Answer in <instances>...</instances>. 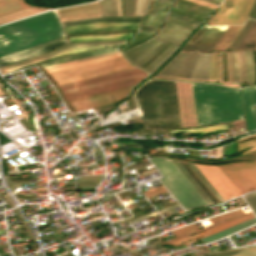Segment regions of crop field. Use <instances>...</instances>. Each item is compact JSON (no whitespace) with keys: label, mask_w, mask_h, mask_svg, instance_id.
Wrapping results in <instances>:
<instances>
[{"label":"crop field","mask_w":256,"mask_h":256,"mask_svg":"<svg viewBox=\"0 0 256 256\" xmlns=\"http://www.w3.org/2000/svg\"><path fill=\"white\" fill-rule=\"evenodd\" d=\"M176 1L181 2V3H184V4H187V5H190V6H193V7H196V8H199V9H202V10H205V11L210 12V13H212V11H213V10H211V9H209V8L203 7V6H201V5H198V4L189 2V1H185V0H176ZM181 3H177V2H176L175 6H176V7H179V8H182V9H186V10L195 12V13H198V14H201V15L206 16V17H208V16L210 15V13H207V12H205V11H202V10H199V9H196V8H193V7H190V6L181 4ZM169 8L175 9V8H173V7H169ZM177 9H178V8H177ZM177 9H175V10H177ZM175 10H170V9H168V11L171 12V13L178 14V15H182V16H186V17H189V18H191V19L198 20V21H200V22H203V20H205L204 18H206V17L201 18V19H203V20H201V19H198V18H200V17H203V16H201V15H198V14H195V13H192V12L187 11V12L193 14V15L200 16V17L196 18V17H192L193 15H192V16H188V15H191V14H189V13H187V12H184L185 10H184V11H180V10H181V9H180V10H177V11H180V12H182V13H184V14H188V15H184V14H182V13H180V12L175 11ZM169 12H168V13H169ZM171 13H169V14H171ZM174 14H172V15H174ZM172 15H170V16H172ZM178 15H175V16L180 17V18H184V19H187V20H190V21H193V22H195V23L200 24V23L197 22V21L191 20V19L186 18V17L178 16ZM170 16L167 15L165 20H167V21H169V22H172V23H175V24H177V25H180V26H182V27H184V28H187V29H189V30H191V31H193V30L196 28V26H198V24H195V23H193V22H190V21L183 20V19H180V18L175 17V18H177V19H179V20H181V21H185V22L191 23V24L196 25V26L190 25V24L185 23V22H181V21H179V20H177V19L172 18V17H174V16H172V17H170Z\"/></svg>","instance_id":"10"},{"label":"crop field","mask_w":256,"mask_h":256,"mask_svg":"<svg viewBox=\"0 0 256 256\" xmlns=\"http://www.w3.org/2000/svg\"><path fill=\"white\" fill-rule=\"evenodd\" d=\"M205 1H208V2H211V3H214V4H219L220 3V1H222V0H220V1H217V0H212V1H216V2H219V3H215V2H212V1H209V0H205Z\"/></svg>","instance_id":"60"},{"label":"crop field","mask_w":256,"mask_h":256,"mask_svg":"<svg viewBox=\"0 0 256 256\" xmlns=\"http://www.w3.org/2000/svg\"><path fill=\"white\" fill-rule=\"evenodd\" d=\"M206 57H207V54L200 55L190 78L204 79L205 68H206ZM210 59H211V54H209L208 60H207V68H206V75H205V79L207 80L209 77Z\"/></svg>","instance_id":"27"},{"label":"crop field","mask_w":256,"mask_h":256,"mask_svg":"<svg viewBox=\"0 0 256 256\" xmlns=\"http://www.w3.org/2000/svg\"><path fill=\"white\" fill-rule=\"evenodd\" d=\"M139 23H98L64 28L66 33L97 30L136 29Z\"/></svg>","instance_id":"18"},{"label":"crop field","mask_w":256,"mask_h":256,"mask_svg":"<svg viewBox=\"0 0 256 256\" xmlns=\"http://www.w3.org/2000/svg\"><path fill=\"white\" fill-rule=\"evenodd\" d=\"M150 161L164 176L160 178L162 183L184 209L208 205L170 159L151 158Z\"/></svg>","instance_id":"4"},{"label":"crop field","mask_w":256,"mask_h":256,"mask_svg":"<svg viewBox=\"0 0 256 256\" xmlns=\"http://www.w3.org/2000/svg\"><path fill=\"white\" fill-rule=\"evenodd\" d=\"M254 23L253 20H248L246 25L243 27V29L240 31V33L237 35V37L234 39V41L229 46V49H236V47L239 45L241 40L244 38V36L247 34L249 29L251 28L252 24Z\"/></svg>","instance_id":"37"},{"label":"crop field","mask_w":256,"mask_h":256,"mask_svg":"<svg viewBox=\"0 0 256 256\" xmlns=\"http://www.w3.org/2000/svg\"><path fill=\"white\" fill-rule=\"evenodd\" d=\"M171 1H173V0H171Z\"/></svg>","instance_id":"62"},{"label":"crop field","mask_w":256,"mask_h":256,"mask_svg":"<svg viewBox=\"0 0 256 256\" xmlns=\"http://www.w3.org/2000/svg\"><path fill=\"white\" fill-rule=\"evenodd\" d=\"M153 4L154 5H159V6H166V5H173V2L154 1ZM150 10H166V7L151 6Z\"/></svg>","instance_id":"51"},{"label":"crop field","mask_w":256,"mask_h":256,"mask_svg":"<svg viewBox=\"0 0 256 256\" xmlns=\"http://www.w3.org/2000/svg\"><path fill=\"white\" fill-rule=\"evenodd\" d=\"M250 90L253 105L256 106V87H251L242 91L248 131L256 129L251 106Z\"/></svg>","instance_id":"21"},{"label":"crop field","mask_w":256,"mask_h":256,"mask_svg":"<svg viewBox=\"0 0 256 256\" xmlns=\"http://www.w3.org/2000/svg\"><path fill=\"white\" fill-rule=\"evenodd\" d=\"M254 112H255V117H256V108H254Z\"/></svg>","instance_id":"61"},{"label":"crop field","mask_w":256,"mask_h":256,"mask_svg":"<svg viewBox=\"0 0 256 256\" xmlns=\"http://www.w3.org/2000/svg\"><path fill=\"white\" fill-rule=\"evenodd\" d=\"M145 77L67 94L66 97H67L68 101H70V100H75V99H79V98H83V97H87V96H92V95H96V94H100V93H104V92H108V91H112V90H117V89L129 87V86H133V85H136L141 79H143Z\"/></svg>","instance_id":"16"},{"label":"crop field","mask_w":256,"mask_h":256,"mask_svg":"<svg viewBox=\"0 0 256 256\" xmlns=\"http://www.w3.org/2000/svg\"><path fill=\"white\" fill-rule=\"evenodd\" d=\"M165 13H166V12L161 11V21H160V24H159V20H160V11H158V18H157V22H156V26H155V27H157L158 24H159L158 27L161 26V24H162V19H163ZM153 15H157V11H154V12H153ZM156 17H157V16H152V14H148L147 18L145 19V21L143 22L142 25L154 27L155 21H156Z\"/></svg>","instance_id":"38"},{"label":"crop field","mask_w":256,"mask_h":256,"mask_svg":"<svg viewBox=\"0 0 256 256\" xmlns=\"http://www.w3.org/2000/svg\"><path fill=\"white\" fill-rule=\"evenodd\" d=\"M152 78H157V79H176V80L193 81V80H186V79H179V78L160 77V76H153ZM211 82H213V81H211Z\"/></svg>","instance_id":"56"},{"label":"crop field","mask_w":256,"mask_h":256,"mask_svg":"<svg viewBox=\"0 0 256 256\" xmlns=\"http://www.w3.org/2000/svg\"><path fill=\"white\" fill-rule=\"evenodd\" d=\"M219 129H228L227 125H215L211 127H203V128H194V129H182V130H174L170 132H192V133H203V132H213Z\"/></svg>","instance_id":"35"},{"label":"crop field","mask_w":256,"mask_h":256,"mask_svg":"<svg viewBox=\"0 0 256 256\" xmlns=\"http://www.w3.org/2000/svg\"><path fill=\"white\" fill-rule=\"evenodd\" d=\"M198 125L244 119L239 90L192 83Z\"/></svg>","instance_id":"3"},{"label":"crop field","mask_w":256,"mask_h":256,"mask_svg":"<svg viewBox=\"0 0 256 256\" xmlns=\"http://www.w3.org/2000/svg\"><path fill=\"white\" fill-rule=\"evenodd\" d=\"M254 214L256 215V193H251L243 196Z\"/></svg>","instance_id":"46"},{"label":"crop field","mask_w":256,"mask_h":256,"mask_svg":"<svg viewBox=\"0 0 256 256\" xmlns=\"http://www.w3.org/2000/svg\"><path fill=\"white\" fill-rule=\"evenodd\" d=\"M44 10H48V9L32 7L30 9H27V10H24V11H20V12L14 13V14H10V15H7V16H4V17H0V24L8 22V21L15 20V19H18V18H21V17H25V16H28V15H31V14H34V13H38V12H41V11H44Z\"/></svg>","instance_id":"30"},{"label":"crop field","mask_w":256,"mask_h":256,"mask_svg":"<svg viewBox=\"0 0 256 256\" xmlns=\"http://www.w3.org/2000/svg\"><path fill=\"white\" fill-rule=\"evenodd\" d=\"M132 87L112 91L92 97H87L75 101H71L70 104L74 110V112L90 109L102 105H107L111 103L118 102L120 99L124 98L130 91Z\"/></svg>","instance_id":"12"},{"label":"crop field","mask_w":256,"mask_h":256,"mask_svg":"<svg viewBox=\"0 0 256 256\" xmlns=\"http://www.w3.org/2000/svg\"><path fill=\"white\" fill-rule=\"evenodd\" d=\"M135 96L146 128L181 127L173 81H147Z\"/></svg>","instance_id":"2"},{"label":"crop field","mask_w":256,"mask_h":256,"mask_svg":"<svg viewBox=\"0 0 256 256\" xmlns=\"http://www.w3.org/2000/svg\"><path fill=\"white\" fill-rule=\"evenodd\" d=\"M145 75H147V74L144 71H141V72H137V73H133V74H129V75H125V76H121V77H117V78H113V79H109V80H105V81H100V82H96V83H92V84H88V85H84V86L64 90L62 92H63V94H66V93H70V92H75V91H79V90H83V89H88V88H92V87L106 85V84L119 82V81H123V80H128V79L141 77V76H145Z\"/></svg>","instance_id":"26"},{"label":"crop field","mask_w":256,"mask_h":256,"mask_svg":"<svg viewBox=\"0 0 256 256\" xmlns=\"http://www.w3.org/2000/svg\"><path fill=\"white\" fill-rule=\"evenodd\" d=\"M115 53H119V51L104 54V55H99V56H95V57H90V58H86V59H82V60H77V61H73V62H68V63H64V64H59V65H55V66L46 67L45 70L60 67V66H64V65H69V64H73V63H77V62H81V61H86V60H90V59H94V58H98V57H102V56H107V55H111V54H115Z\"/></svg>","instance_id":"48"},{"label":"crop field","mask_w":256,"mask_h":256,"mask_svg":"<svg viewBox=\"0 0 256 256\" xmlns=\"http://www.w3.org/2000/svg\"><path fill=\"white\" fill-rule=\"evenodd\" d=\"M119 15H122L121 0H117Z\"/></svg>","instance_id":"58"},{"label":"crop field","mask_w":256,"mask_h":256,"mask_svg":"<svg viewBox=\"0 0 256 256\" xmlns=\"http://www.w3.org/2000/svg\"><path fill=\"white\" fill-rule=\"evenodd\" d=\"M164 191H166V190L163 189L161 186H159V187L144 191V194L147 196V198H149L151 196L157 195V194L162 193Z\"/></svg>","instance_id":"50"},{"label":"crop field","mask_w":256,"mask_h":256,"mask_svg":"<svg viewBox=\"0 0 256 256\" xmlns=\"http://www.w3.org/2000/svg\"><path fill=\"white\" fill-rule=\"evenodd\" d=\"M243 26H228L218 38L212 50H225Z\"/></svg>","instance_id":"25"},{"label":"crop field","mask_w":256,"mask_h":256,"mask_svg":"<svg viewBox=\"0 0 256 256\" xmlns=\"http://www.w3.org/2000/svg\"><path fill=\"white\" fill-rule=\"evenodd\" d=\"M92 4H94V3H92ZM86 5H91V4H86ZM80 6H83V5H80ZM74 7H76V6H74ZM95 8H99V5L95 4V5H91V6L76 7V8L69 7V8L57 10V12L65 13V12H73V11L88 10V9H95ZM97 12H100V10L96 9V10L80 11V12L65 13V14H58V15H59V17H64V16H73V15H81V14H89V13H97ZM97 16H100V13L81 15V16H73V17H64V18H60V19H61V21H65V20L97 17Z\"/></svg>","instance_id":"19"},{"label":"crop field","mask_w":256,"mask_h":256,"mask_svg":"<svg viewBox=\"0 0 256 256\" xmlns=\"http://www.w3.org/2000/svg\"><path fill=\"white\" fill-rule=\"evenodd\" d=\"M248 214H251V212L245 214L243 209H241V210L230 212V213H227V214H224V215H220V216H217V217L210 218L208 220L211 222L212 225H210V226H208L206 228H203L201 230L198 229L196 224H192V225H188V226L179 228L177 230L172 231L177 238L172 239V240H168V241H165V242H162V243L165 244V243L174 241L176 239H179V238H182V237H185V236L197 233L199 231H203V230L209 229V228H211L213 226H216V225L224 224L226 222L235 220L237 218L246 216Z\"/></svg>","instance_id":"13"},{"label":"crop field","mask_w":256,"mask_h":256,"mask_svg":"<svg viewBox=\"0 0 256 256\" xmlns=\"http://www.w3.org/2000/svg\"><path fill=\"white\" fill-rule=\"evenodd\" d=\"M250 52V63H251V84H254V74H253V56L252 50ZM247 66V84H250V64H249V53L248 50H244Z\"/></svg>","instance_id":"39"},{"label":"crop field","mask_w":256,"mask_h":256,"mask_svg":"<svg viewBox=\"0 0 256 256\" xmlns=\"http://www.w3.org/2000/svg\"><path fill=\"white\" fill-rule=\"evenodd\" d=\"M106 1H107L108 16L117 15L116 0H106ZM106 1L105 0L99 1L102 8V16H107Z\"/></svg>","instance_id":"34"},{"label":"crop field","mask_w":256,"mask_h":256,"mask_svg":"<svg viewBox=\"0 0 256 256\" xmlns=\"http://www.w3.org/2000/svg\"><path fill=\"white\" fill-rule=\"evenodd\" d=\"M181 159H184V158H181ZM249 159H256V152L248 155H244L238 158H231V159H226V160H221L216 162H206V161L193 160V159H187V160H193V161H199V162H205V163H218V162L241 161V160H249Z\"/></svg>","instance_id":"42"},{"label":"crop field","mask_w":256,"mask_h":256,"mask_svg":"<svg viewBox=\"0 0 256 256\" xmlns=\"http://www.w3.org/2000/svg\"><path fill=\"white\" fill-rule=\"evenodd\" d=\"M55 11L0 27V56L63 38Z\"/></svg>","instance_id":"1"},{"label":"crop field","mask_w":256,"mask_h":256,"mask_svg":"<svg viewBox=\"0 0 256 256\" xmlns=\"http://www.w3.org/2000/svg\"><path fill=\"white\" fill-rule=\"evenodd\" d=\"M143 1L144 0H138L137 1V7H136V13H135V15H140V13H141V9H142V5H143ZM150 1L151 0H146V3H145V1H144V3H145V6H144V10H143V14L142 15H146V13H147V11H148V9H149V4H150Z\"/></svg>","instance_id":"47"},{"label":"crop field","mask_w":256,"mask_h":256,"mask_svg":"<svg viewBox=\"0 0 256 256\" xmlns=\"http://www.w3.org/2000/svg\"><path fill=\"white\" fill-rule=\"evenodd\" d=\"M232 256H256V247L244 249Z\"/></svg>","instance_id":"49"},{"label":"crop field","mask_w":256,"mask_h":256,"mask_svg":"<svg viewBox=\"0 0 256 256\" xmlns=\"http://www.w3.org/2000/svg\"><path fill=\"white\" fill-rule=\"evenodd\" d=\"M26 8H29V6L21 0H4L0 2V16Z\"/></svg>","instance_id":"28"},{"label":"crop field","mask_w":256,"mask_h":256,"mask_svg":"<svg viewBox=\"0 0 256 256\" xmlns=\"http://www.w3.org/2000/svg\"><path fill=\"white\" fill-rule=\"evenodd\" d=\"M173 45H169L157 58H155L149 65H147L144 69L150 68L158 59H160L167 51H169ZM177 47L174 46L168 53H166L160 60H158L149 70V72H153L163 61H165L176 49Z\"/></svg>","instance_id":"31"},{"label":"crop field","mask_w":256,"mask_h":256,"mask_svg":"<svg viewBox=\"0 0 256 256\" xmlns=\"http://www.w3.org/2000/svg\"><path fill=\"white\" fill-rule=\"evenodd\" d=\"M174 207H178V204L169 206V207H167V208H164V209L160 210L159 212L162 213V212L167 211V210H169V209H171V208H174Z\"/></svg>","instance_id":"57"},{"label":"crop field","mask_w":256,"mask_h":256,"mask_svg":"<svg viewBox=\"0 0 256 256\" xmlns=\"http://www.w3.org/2000/svg\"><path fill=\"white\" fill-rule=\"evenodd\" d=\"M172 161H173V163L180 169V171L187 177V179L193 184V186L200 192V194L207 200V202L209 203V204H212L213 202L211 201V199L205 194V192L198 186V184L192 179V177L186 172V170L179 164V162L177 161V160H173V159H171ZM171 161V162H172ZM178 169V170H179ZM184 176V177H185ZM185 177V178H186ZM191 184V185H192ZM197 191V192H198ZM198 192V193H199ZM204 199V200H205ZM205 200V201H206Z\"/></svg>","instance_id":"32"},{"label":"crop field","mask_w":256,"mask_h":256,"mask_svg":"<svg viewBox=\"0 0 256 256\" xmlns=\"http://www.w3.org/2000/svg\"><path fill=\"white\" fill-rule=\"evenodd\" d=\"M142 18L138 17H100L94 19L75 20L62 22L64 27L98 22H140Z\"/></svg>","instance_id":"22"},{"label":"crop field","mask_w":256,"mask_h":256,"mask_svg":"<svg viewBox=\"0 0 256 256\" xmlns=\"http://www.w3.org/2000/svg\"><path fill=\"white\" fill-rule=\"evenodd\" d=\"M251 218H254V215H253V214L248 215V216L243 217V218H240V219H238V220L232 221V222H230V223L221 225V226H219V227H216V228H213V229H209V230L203 231V232H201V233L192 235V236H190V237H187V238H184V239H181V240H178V241L169 243V244H171V245L178 244V243L184 242V241H186V240L192 239V238L197 237V236H200V235H202L203 237H205V236L211 235V234H213V233L219 232V231H221V230L227 229V228H229V227H232V226H234V225H236V224H239V223H241V222H243V221L249 220V219H251ZM203 237H201V238H203ZM198 239H200V238H197V239H194V240H191V241L182 243L181 245L188 244V243H190V242H192V241H195V240H198Z\"/></svg>","instance_id":"24"},{"label":"crop field","mask_w":256,"mask_h":256,"mask_svg":"<svg viewBox=\"0 0 256 256\" xmlns=\"http://www.w3.org/2000/svg\"><path fill=\"white\" fill-rule=\"evenodd\" d=\"M65 43H67V41L64 38L61 40H57V41L39 46L37 48H33V49L13 53V54H10V55L4 56V57H0V66H4L7 64H11L14 62L32 58V57H35L38 55H42V54L47 53Z\"/></svg>","instance_id":"14"},{"label":"crop field","mask_w":256,"mask_h":256,"mask_svg":"<svg viewBox=\"0 0 256 256\" xmlns=\"http://www.w3.org/2000/svg\"><path fill=\"white\" fill-rule=\"evenodd\" d=\"M139 32H141V33H146V34H150V35H153V33H152V32H147V31H143V30H140Z\"/></svg>","instance_id":"59"},{"label":"crop field","mask_w":256,"mask_h":256,"mask_svg":"<svg viewBox=\"0 0 256 256\" xmlns=\"http://www.w3.org/2000/svg\"><path fill=\"white\" fill-rule=\"evenodd\" d=\"M241 250H242V249H241ZM238 251H240V250L219 252V253H215V254H213V255H211V256H230V255H232V254H234V253H236V252H238Z\"/></svg>","instance_id":"53"},{"label":"crop field","mask_w":256,"mask_h":256,"mask_svg":"<svg viewBox=\"0 0 256 256\" xmlns=\"http://www.w3.org/2000/svg\"><path fill=\"white\" fill-rule=\"evenodd\" d=\"M156 42H158V40L151 38L145 42H143V44L141 45H137L131 49L128 50H124V53L126 54V56L128 54H130L136 47V49L127 56V58L132 62L134 59H136L138 56H140L142 53H144L146 50H148L150 47H152ZM163 41H159L158 43H156L152 48H150L148 51H146L144 54H142L140 57H138L135 61H133L132 63H137L138 61H140L141 59H143L146 55H148L153 49H155L159 44H161ZM166 44L165 42H163L161 45H159L154 51H152L148 56H146L143 60H141L140 62H138L137 66H141L144 62H146L151 56H153L155 53H157L160 48ZM123 52V51H122Z\"/></svg>","instance_id":"15"},{"label":"crop field","mask_w":256,"mask_h":256,"mask_svg":"<svg viewBox=\"0 0 256 256\" xmlns=\"http://www.w3.org/2000/svg\"><path fill=\"white\" fill-rule=\"evenodd\" d=\"M189 1L201 4L203 6L211 8V9H215L217 7V5H214V4H211V3H208V2H204V1H201V0H189Z\"/></svg>","instance_id":"52"},{"label":"crop field","mask_w":256,"mask_h":256,"mask_svg":"<svg viewBox=\"0 0 256 256\" xmlns=\"http://www.w3.org/2000/svg\"><path fill=\"white\" fill-rule=\"evenodd\" d=\"M138 71H141V70H138ZM134 72H137V71H134ZM130 73H133V72H130ZM126 74H129V73H126ZM122 75H125V74H122ZM117 76H121V75H117ZM117 76H113V77H117ZM113 77H109V78H113ZM109 78H105V79H109ZM105 79H101V80H105ZM96 81H100V80H96ZM96 81H92V82H96ZM92 82H88V83H92ZM88 83H84V84H88ZM84 84H79V85L63 88L61 90L72 88V87H76V86H80V85H84Z\"/></svg>","instance_id":"54"},{"label":"crop field","mask_w":256,"mask_h":256,"mask_svg":"<svg viewBox=\"0 0 256 256\" xmlns=\"http://www.w3.org/2000/svg\"><path fill=\"white\" fill-rule=\"evenodd\" d=\"M255 0H225L208 25L244 24Z\"/></svg>","instance_id":"6"},{"label":"crop field","mask_w":256,"mask_h":256,"mask_svg":"<svg viewBox=\"0 0 256 256\" xmlns=\"http://www.w3.org/2000/svg\"><path fill=\"white\" fill-rule=\"evenodd\" d=\"M133 66L124 57L112 59L104 62L90 64L82 67L68 69L60 72L51 73V77L58 85L78 81L94 76H99L111 72H116Z\"/></svg>","instance_id":"5"},{"label":"crop field","mask_w":256,"mask_h":256,"mask_svg":"<svg viewBox=\"0 0 256 256\" xmlns=\"http://www.w3.org/2000/svg\"><path fill=\"white\" fill-rule=\"evenodd\" d=\"M190 33L191 31L187 29L165 22L155 37L180 45Z\"/></svg>","instance_id":"17"},{"label":"crop field","mask_w":256,"mask_h":256,"mask_svg":"<svg viewBox=\"0 0 256 256\" xmlns=\"http://www.w3.org/2000/svg\"><path fill=\"white\" fill-rule=\"evenodd\" d=\"M189 166L196 172V174L203 180V182L210 188V190L217 196L220 201H223L221 196L216 192V190L211 186V184L206 180V178L201 174V172L196 168L194 164L188 163Z\"/></svg>","instance_id":"43"},{"label":"crop field","mask_w":256,"mask_h":256,"mask_svg":"<svg viewBox=\"0 0 256 256\" xmlns=\"http://www.w3.org/2000/svg\"><path fill=\"white\" fill-rule=\"evenodd\" d=\"M253 138H256V135L249 136V137H246V138L238 140V150H237V153L242 151V150H244V149H246V148H249L251 146H255V147H253V148L243 152V154H246V153H249V152H252V151H256V140H251V141L239 143L241 141H245V140H249V139H253Z\"/></svg>","instance_id":"36"},{"label":"crop field","mask_w":256,"mask_h":256,"mask_svg":"<svg viewBox=\"0 0 256 256\" xmlns=\"http://www.w3.org/2000/svg\"><path fill=\"white\" fill-rule=\"evenodd\" d=\"M211 48H212V47H210V46L186 44L182 50H191V51H199V52H208Z\"/></svg>","instance_id":"45"},{"label":"crop field","mask_w":256,"mask_h":256,"mask_svg":"<svg viewBox=\"0 0 256 256\" xmlns=\"http://www.w3.org/2000/svg\"><path fill=\"white\" fill-rule=\"evenodd\" d=\"M182 126H195L196 115L191 83L175 82Z\"/></svg>","instance_id":"9"},{"label":"crop field","mask_w":256,"mask_h":256,"mask_svg":"<svg viewBox=\"0 0 256 256\" xmlns=\"http://www.w3.org/2000/svg\"><path fill=\"white\" fill-rule=\"evenodd\" d=\"M153 215H157V213L154 212V213L148 214V215H146V216H143V217L134 219V220H132V221H129V224H131V223H133V222H136V221H139V220H141V219H144V218H146V217L153 216Z\"/></svg>","instance_id":"55"},{"label":"crop field","mask_w":256,"mask_h":256,"mask_svg":"<svg viewBox=\"0 0 256 256\" xmlns=\"http://www.w3.org/2000/svg\"><path fill=\"white\" fill-rule=\"evenodd\" d=\"M136 0H123L125 15H134Z\"/></svg>","instance_id":"44"},{"label":"crop field","mask_w":256,"mask_h":256,"mask_svg":"<svg viewBox=\"0 0 256 256\" xmlns=\"http://www.w3.org/2000/svg\"><path fill=\"white\" fill-rule=\"evenodd\" d=\"M238 53L239 60V74L237 72V57L236 52H231V60H232V70H233V82L246 81V69H245V59L243 52ZM228 57V67H229V53L227 52ZM231 60H230V69H231ZM232 70H231V79H232ZM230 77V70H229ZM230 79V82H231Z\"/></svg>","instance_id":"20"},{"label":"crop field","mask_w":256,"mask_h":256,"mask_svg":"<svg viewBox=\"0 0 256 256\" xmlns=\"http://www.w3.org/2000/svg\"><path fill=\"white\" fill-rule=\"evenodd\" d=\"M133 33H120L114 35H84V36H75L70 37L69 41H84V40H105V39H125L131 38Z\"/></svg>","instance_id":"29"},{"label":"crop field","mask_w":256,"mask_h":256,"mask_svg":"<svg viewBox=\"0 0 256 256\" xmlns=\"http://www.w3.org/2000/svg\"><path fill=\"white\" fill-rule=\"evenodd\" d=\"M199 55V53H179L158 74L188 78Z\"/></svg>","instance_id":"11"},{"label":"crop field","mask_w":256,"mask_h":256,"mask_svg":"<svg viewBox=\"0 0 256 256\" xmlns=\"http://www.w3.org/2000/svg\"><path fill=\"white\" fill-rule=\"evenodd\" d=\"M127 40H118V41H101V42H85V43H71L67 44L43 57H38L36 59L24 61L21 63H18L13 66L5 67L0 70L2 74L29 66L34 63L42 62L60 55L64 54H69V53H74L86 49H93V48H100V47H105V46H113V45H121L125 44Z\"/></svg>","instance_id":"8"},{"label":"crop field","mask_w":256,"mask_h":256,"mask_svg":"<svg viewBox=\"0 0 256 256\" xmlns=\"http://www.w3.org/2000/svg\"><path fill=\"white\" fill-rule=\"evenodd\" d=\"M121 56H123V55L121 53H119V54H115V55H111V56H107V57H103V58H98V59H94V60H90V61H86V62H81V63H77V64L65 66V67H60V68L48 70L47 72L51 73V72H55V71H60V70H64V69H68V68H73V67H77V66H82V65H86V64H90V63H95V62H99V61H104V60H108V59H112V58H117V57H121Z\"/></svg>","instance_id":"33"},{"label":"crop field","mask_w":256,"mask_h":256,"mask_svg":"<svg viewBox=\"0 0 256 256\" xmlns=\"http://www.w3.org/2000/svg\"><path fill=\"white\" fill-rule=\"evenodd\" d=\"M218 167L241 194L256 190V161Z\"/></svg>","instance_id":"7"},{"label":"crop field","mask_w":256,"mask_h":256,"mask_svg":"<svg viewBox=\"0 0 256 256\" xmlns=\"http://www.w3.org/2000/svg\"><path fill=\"white\" fill-rule=\"evenodd\" d=\"M119 47L106 48V49H100V50L89 51V52H82V53L70 55V56H67V57H64V58H60V59H56V60H53V61L42 63V66L46 67V66L55 65V64H59V63H64V62H68V61H73V60H77V59H81V58H86V57H90V56H95V55H99V54L113 52V51L119 50Z\"/></svg>","instance_id":"23"},{"label":"crop field","mask_w":256,"mask_h":256,"mask_svg":"<svg viewBox=\"0 0 256 256\" xmlns=\"http://www.w3.org/2000/svg\"><path fill=\"white\" fill-rule=\"evenodd\" d=\"M134 70H138V69L133 68V69H129V70L121 71V72H116V73L103 75V76H99V77H95V78H91V79H86V80H82V81H78V82H73V83L61 85L60 88L75 85V84H79V83H84V82H88V81H92V80H96V79H100V78H105V77H109V76H113V75H117V74H122V73L130 72V71H134Z\"/></svg>","instance_id":"41"},{"label":"crop field","mask_w":256,"mask_h":256,"mask_svg":"<svg viewBox=\"0 0 256 256\" xmlns=\"http://www.w3.org/2000/svg\"><path fill=\"white\" fill-rule=\"evenodd\" d=\"M217 53H212V59H211V69H210V77L209 80H211V73H212V66H213V61H214V54H215V62H214V67H213V74H212V80L214 81V76H215V67H216V60H217ZM215 81H220V71H219V54H218V61H217V67H216V77Z\"/></svg>","instance_id":"40"}]
</instances>
